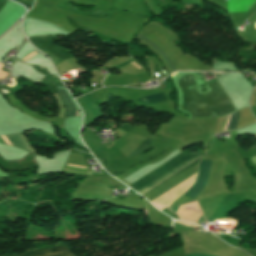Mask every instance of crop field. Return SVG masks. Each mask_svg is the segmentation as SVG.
<instances>
[{
    "instance_id": "1",
    "label": "crop field",
    "mask_w": 256,
    "mask_h": 256,
    "mask_svg": "<svg viewBox=\"0 0 256 256\" xmlns=\"http://www.w3.org/2000/svg\"><path fill=\"white\" fill-rule=\"evenodd\" d=\"M205 152H203V153H200V154H198V153H196V154H198V155H196V154H194V153H180V154H178L177 156H175L174 158H172L171 160H169V161H167L166 163H164L163 165H161L160 167H158L157 169H155V170H153L152 172H150L149 174H147L146 176H144L143 178H141L140 180H138V181H136L135 183H133L132 185H130L132 188H134L135 190L136 189H138V188H140L141 186H143V185H145L146 183H148V182H150L151 180H153V179H155L157 176H159L161 173H163L164 171H166V170H168V169H170V168H172V167H174L175 165H177L178 163H180V162H182L183 160H185L186 158H188L189 156H191V155H193V156H195V157H193V156H191V157H193V158H191V157H189L188 159H190V160H188V159H186L185 161H187V162H185V161H183V162H185V163H180V164H182V165H180V164H178V165H180V166H175V167H177V168H175L174 170H172V169H170V170H172V171H170V170H168V171H166V172H164L162 175H164L165 173H167V172H169V173H167L166 175H164V176H162V175H160L159 177H161V178H159L158 180H156V181H151V182H153V183H151L150 185H148V184H146V185H148V186H143V187H145V188H143V187H141V188H143L142 190H140V189H138V190H140V191H138L140 194L141 193H143L144 191H146V190H148L149 188H151L152 186H154L155 184H157V183H159L160 181H162L163 179H165L166 177H168V176H170L171 174H173L174 172H176V171H178L179 169H181L182 167H184L185 165H187V164H189L190 162H192L193 160H195L196 158H198V157H200L201 155H203ZM198 161H199V159L198 160H196L195 162H193L192 164H190V165H188L187 167H185L184 169H182V170H180L179 172H177L176 174H178V173H180V172H182V171H184L185 169H187V168H189V167H191V166H193L194 164H196V163H198ZM176 174H174V175H176ZM173 175V176H174ZM172 177V176H171ZM170 178V177H169ZM168 178V179H169ZM167 180V179H166ZM164 182V181H163ZM162 183V182H161ZM159 185V184H158ZM154 188V187H153ZM143 195V194H142ZM161 211H163V212H165V213H167L168 215H170L171 217H173V218H175L174 216H172L170 213H168L166 210H161Z\"/></svg>"
},
{
    "instance_id": "2",
    "label": "crop field",
    "mask_w": 256,
    "mask_h": 256,
    "mask_svg": "<svg viewBox=\"0 0 256 256\" xmlns=\"http://www.w3.org/2000/svg\"><path fill=\"white\" fill-rule=\"evenodd\" d=\"M210 162H211V160L200 161L199 174H198L196 183L184 195H186L187 197H189L191 199H195L196 196L205 187L208 176H209Z\"/></svg>"
},
{
    "instance_id": "3",
    "label": "crop field",
    "mask_w": 256,
    "mask_h": 256,
    "mask_svg": "<svg viewBox=\"0 0 256 256\" xmlns=\"http://www.w3.org/2000/svg\"><path fill=\"white\" fill-rule=\"evenodd\" d=\"M15 256H72L65 247L41 249L24 255Z\"/></svg>"
},
{
    "instance_id": "4",
    "label": "crop field",
    "mask_w": 256,
    "mask_h": 256,
    "mask_svg": "<svg viewBox=\"0 0 256 256\" xmlns=\"http://www.w3.org/2000/svg\"><path fill=\"white\" fill-rule=\"evenodd\" d=\"M1 138L7 145L11 144V146H17V147L25 149L27 151L34 152L32 150V148L30 147V145L27 143V139L25 137H23L21 134L7 135L6 138L8 139L10 144L8 143L5 136H1ZM3 141L0 139V143H3Z\"/></svg>"
},
{
    "instance_id": "5",
    "label": "crop field",
    "mask_w": 256,
    "mask_h": 256,
    "mask_svg": "<svg viewBox=\"0 0 256 256\" xmlns=\"http://www.w3.org/2000/svg\"><path fill=\"white\" fill-rule=\"evenodd\" d=\"M58 90V94L60 95L62 101L64 102L67 112L65 116H74V107L67 95V93L65 92V90L63 88H57ZM75 116H78L76 111H75Z\"/></svg>"
},
{
    "instance_id": "6",
    "label": "crop field",
    "mask_w": 256,
    "mask_h": 256,
    "mask_svg": "<svg viewBox=\"0 0 256 256\" xmlns=\"http://www.w3.org/2000/svg\"><path fill=\"white\" fill-rule=\"evenodd\" d=\"M138 102H140L143 105L150 104V103H155V102H160L166 100L163 92L136 98Z\"/></svg>"
},
{
    "instance_id": "7",
    "label": "crop field",
    "mask_w": 256,
    "mask_h": 256,
    "mask_svg": "<svg viewBox=\"0 0 256 256\" xmlns=\"http://www.w3.org/2000/svg\"><path fill=\"white\" fill-rule=\"evenodd\" d=\"M84 99L86 100V102L88 103V105L90 106L91 110L93 111V113L95 114V116L97 117V119L102 118V113L100 110V107L98 104H96L93 99H92V92L83 96ZM77 101V99H76ZM78 102V101H77ZM79 103V102H78ZM80 105V104H79ZM81 107V106H80ZM82 109V107H81ZM83 110V109H82ZM84 111V110H83Z\"/></svg>"
},
{
    "instance_id": "8",
    "label": "crop field",
    "mask_w": 256,
    "mask_h": 256,
    "mask_svg": "<svg viewBox=\"0 0 256 256\" xmlns=\"http://www.w3.org/2000/svg\"><path fill=\"white\" fill-rule=\"evenodd\" d=\"M238 111H239V110H238ZM238 111L232 113V115L230 114V115H231V119H230V115L228 116V120H227V123H226L225 130H224V131L227 130V126H228L229 119H230V123H229L228 130H227V131L233 130V129L236 128V126H237V120H238Z\"/></svg>"
},
{
    "instance_id": "9",
    "label": "crop field",
    "mask_w": 256,
    "mask_h": 256,
    "mask_svg": "<svg viewBox=\"0 0 256 256\" xmlns=\"http://www.w3.org/2000/svg\"><path fill=\"white\" fill-rule=\"evenodd\" d=\"M151 148V143L150 140L146 139L142 144H140L132 153H130L127 157L137 154V153H142L144 151H147ZM126 157V158H127Z\"/></svg>"
},
{
    "instance_id": "10",
    "label": "crop field",
    "mask_w": 256,
    "mask_h": 256,
    "mask_svg": "<svg viewBox=\"0 0 256 256\" xmlns=\"http://www.w3.org/2000/svg\"><path fill=\"white\" fill-rule=\"evenodd\" d=\"M138 36L142 37L144 40H146L148 43H150L153 47H155V48L159 51V53L162 55V57H163V58L165 59V61L168 63V65H169L171 71H174V70H175V69L173 68L171 62H170V61L165 57V55L156 47V45H155L153 42H151L149 39H147L145 36H143V35H141V34H139V33H138Z\"/></svg>"
},
{
    "instance_id": "11",
    "label": "crop field",
    "mask_w": 256,
    "mask_h": 256,
    "mask_svg": "<svg viewBox=\"0 0 256 256\" xmlns=\"http://www.w3.org/2000/svg\"><path fill=\"white\" fill-rule=\"evenodd\" d=\"M132 61H134V60H130V61H127V62H124V63H122V64H119V65H116L117 67H119V66H122V65H125V64H127V63H130V62H132ZM137 62V61H136ZM136 62H133L132 64H134L136 67H138L139 69H141V68H143L142 66H140L138 63H136Z\"/></svg>"
},
{
    "instance_id": "12",
    "label": "crop field",
    "mask_w": 256,
    "mask_h": 256,
    "mask_svg": "<svg viewBox=\"0 0 256 256\" xmlns=\"http://www.w3.org/2000/svg\"><path fill=\"white\" fill-rule=\"evenodd\" d=\"M14 1H17V2H19V3L24 4L28 9H29V8L31 7V5H32V3L27 2V1H25V0H14Z\"/></svg>"
},
{
    "instance_id": "13",
    "label": "crop field",
    "mask_w": 256,
    "mask_h": 256,
    "mask_svg": "<svg viewBox=\"0 0 256 256\" xmlns=\"http://www.w3.org/2000/svg\"><path fill=\"white\" fill-rule=\"evenodd\" d=\"M67 167L85 170V167H83V166H77V165L68 164Z\"/></svg>"
},
{
    "instance_id": "14",
    "label": "crop field",
    "mask_w": 256,
    "mask_h": 256,
    "mask_svg": "<svg viewBox=\"0 0 256 256\" xmlns=\"http://www.w3.org/2000/svg\"><path fill=\"white\" fill-rule=\"evenodd\" d=\"M176 223H180V224H184V225L193 227V225H192V224H189V223H184V222H179V221H177ZM194 227H198V226L194 225ZM194 227H193V228H194Z\"/></svg>"
},
{
    "instance_id": "15",
    "label": "crop field",
    "mask_w": 256,
    "mask_h": 256,
    "mask_svg": "<svg viewBox=\"0 0 256 256\" xmlns=\"http://www.w3.org/2000/svg\"><path fill=\"white\" fill-rule=\"evenodd\" d=\"M34 54H36L35 52L31 53L29 56H27L26 58H24L23 60H27L28 58H30L31 56H33Z\"/></svg>"
},
{
    "instance_id": "16",
    "label": "crop field",
    "mask_w": 256,
    "mask_h": 256,
    "mask_svg": "<svg viewBox=\"0 0 256 256\" xmlns=\"http://www.w3.org/2000/svg\"><path fill=\"white\" fill-rule=\"evenodd\" d=\"M189 256H204V255H189Z\"/></svg>"
},
{
    "instance_id": "17",
    "label": "crop field",
    "mask_w": 256,
    "mask_h": 256,
    "mask_svg": "<svg viewBox=\"0 0 256 256\" xmlns=\"http://www.w3.org/2000/svg\"><path fill=\"white\" fill-rule=\"evenodd\" d=\"M253 147H255V148H256V145H254Z\"/></svg>"
}]
</instances>
